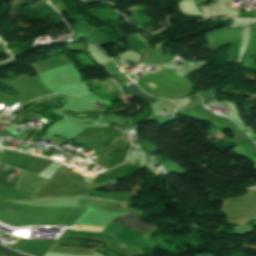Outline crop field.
Instances as JSON below:
<instances>
[{"label": "crop field", "instance_id": "f4fd0767", "mask_svg": "<svg viewBox=\"0 0 256 256\" xmlns=\"http://www.w3.org/2000/svg\"><path fill=\"white\" fill-rule=\"evenodd\" d=\"M116 239H117L120 243H122V244H124V245H126V246H129V247H132V248H135V249H139V250H142V249H143V248H140V247H137V246L130 245V244H128V243H126V242H124V241L118 239V238H116Z\"/></svg>", "mask_w": 256, "mask_h": 256}, {"label": "crop field", "instance_id": "412701ff", "mask_svg": "<svg viewBox=\"0 0 256 256\" xmlns=\"http://www.w3.org/2000/svg\"><path fill=\"white\" fill-rule=\"evenodd\" d=\"M65 232L81 233V234H94V235L106 236V237H109V238L115 240L112 235H109V234H106V233L80 232V231H72V230H66Z\"/></svg>", "mask_w": 256, "mask_h": 256}, {"label": "crop field", "instance_id": "34b2d1b8", "mask_svg": "<svg viewBox=\"0 0 256 256\" xmlns=\"http://www.w3.org/2000/svg\"><path fill=\"white\" fill-rule=\"evenodd\" d=\"M0 254L4 256H24L2 246H0Z\"/></svg>", "mask_w": 256, "mask_h": 256}, {"label": "crop field", "instance_id": "e52e79f7", "mask_svg": "<svg viewBox=\"0 0 256 256\" xmlns=\"http://www.w3.org/2000/svg\"><path fill=\"white\" fill-rule=\"evenodd\" d=\"M161 104V103H160ZM162 105V104H161ZM163 106V105H162ZM164 107V106H163Z\"/></svg>", "mask_w": 256, "mask_h": 256}, {"label": "crop field", "instance_id": "ac0d7876", "mask_svg": "<svg viewBox=\"0 0 256 256\" xmlns=\"http://www.w3.org/2000/svg\"><path fill=\"white\" fill-rule=\"evenodd\" d=\"M114 221L119 222V223L124 224L129 227H132L139 231L145 232L147 234H149L150 232L155 230V226L142 223L139 221V217L129 215V214L123 215L121 217H116L114 219Z\"/></svg>", "mask_w": 256, "mask_h": 256}, {"label": "crop field", "instance_id": "dd49c442", "mask_svg": "<svg viewBox=\"0 0 256 256\" xmlns=\"http://www.w3.org/2000/svg\"><path fill=\"white\" fill-rule=\"evenodd\" d=\"M81 227L102 229L100 227L83 226V225H81ZM80 230H85V229H80ZM88 231H96V230H88Z\"/></svg>", "mask_w": 256, "mask_h": 256}, {"label": "crop field", "instance_id": "8a807250", "mask_svg": "<svg viewBox=\"0 0 256 256\" xmlns=\"http://www.w3.org/2000/svg\"><path fill=\"white\" fill-rule=\"evenodd\" d=\"M120 214L88 208L74 223L105 227L113 217Z\"/></svg>", "mask_w": 256, "mask_h": 256}]
</instances>
